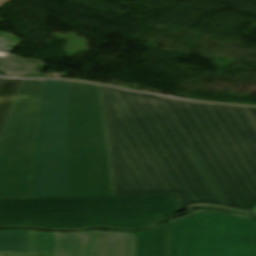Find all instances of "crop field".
<instances>
[{
    "label": "crop field",
    "instance_id": "20",
    "mask_svg": "<svg viewBox=\"0 0 256 256\" xmlns=\"http://www.w3.org/2000/svg\"><path fill=\"white\" fill-rule=\"evenodd\" d=\"M23 78H56V76H46V73H25Z\"/></svg>",
    "mask_w": 256,
    "mask_h": 256
},
{
    "label": "crop field",
    "instance_id": "26",
    "mask_svg": "<svg viewBox=\"0 0 256 256\" xmlns=\"http://www.w3.org/2000/svg\"><path fill=\"white\" fill-rule=\"evenodd\" d=\"M2 21L0 20V23H1Z\"/></svg>",
    "mask_w": 256,
    "mask_h": 256
},
{
    "label": "crop field",
    "instance_id": "25",
    "mask_svg": "<svg viewBox=\"0 0 256 256\" xmlns=\"http://www.w3.org/2000/svg\"><path fill=\"white\" fill-rule=\"evenodd\" d=\"M252 211H255V212H256V207H255Z\"/></svg>",
    "mask_w": 256,
    "mask_h": 256
},
{
    "label": "crop field",
    "instance_id": "13",
    "mask_svg": "<svg viewBox=\"0 0 256 256\" xmlns=\"http://www.w3.org/2000/svg\"><path fill=\"white\" fill-rule=\"evenodd\" d=\"M67 196V155L36 157L30 197Z\"/></svg>",
    "mask_w": 256,
    "mask_h": 256
},
{
    "label": "crop field",
    "instance_id": "1",
    "mask_svg": "<svg viewBox=\"0 0 256 256\" xmlns=\"http://www.w3.org/2000/svg\"><path fill=\"white\" fill-rule=\"evenodd\" d=\"M114 195L102 91L68 81V196Z\"/></svg>",
    "mask_w": 256,
    "mask_h": 256
},
{
    "label": "crop field",
    "instance_id": "8",
    "mask_svg": "<svg viewBox=\"0 0 256 256\" xmlns=\"http://www.w3.org/2000/svg\"><path fill=\"white\" fill-rule=\"evenodd\" d=\"M134 233H50L28 231L29 253L0 256H135Z\"/></svg>",
    "mask_w": 256,
    "mask_h": 256
},
{
    "label": "crop field",
    "instance_id": "21",
    "mask_svg": "<svg viewBox=\"0 0 256 256\" xmlns=\"http://www.w3.org/2000/svg\"><path fill=\"white\" fill-rule=\"evenodd\" d=\"M23 73H8L5 77H10V78H21Z\"/></svg>",
    "mask_w": 256,
    "mask_h": 256
},
{
    "label": "crop field",
    "instance_id": "10",
    "mask_svg": "<svg viewBox=\"0 0 256 256\" xmlns=\"http://www.w3.org/2000/svg\"><path fill=\"white\" fill-rule=\"evenodd\" d=\"M106 122L110 151L186 147L168 115Z\"/></svg>",
    "mask_w": 256,
    "mask_h": 256
},
{
    "label": "crop field",
    "instance_id": "15",
    "mask_svg": "<svg viewBox=\"0 0 256 256\" xmlns=\"http://www.w3.org/2000/svg\"><path fill=\"white\" fill-rule=\"evenodd\" d=\"M44 66L41 61L24 60L11 53L4 59L0 58V72H40Z\"/></svg>",
    "mask_w": 256,
    "mask_h": 256
},
{
    "label": "crop field",
    "instance_id": "12",
    "mask_svg": "<svg viewBox=\"0 0 256 256\" xmlns=\"http://www.w3.org/2000/svg\"><path fill=\"white\" fill-rule=\"evenodd\" d=\"M101 87L106 120L166 114L158 96Z\"/></svg>",
    "mask_w": 256,
    "mask_h": 256
},
{
    "label": "crop field",
    "instance_id": "16",
    "mask_svg": "<svg viewBox=\"0 0 256 256\" xmlns=\"http://www.w3.org/2000/svg\"><path fill=\"white\" fill-rule=\"evenodd\" d=\"M31 179H0V198L29 197Z\"/></svg>",
    "mask_w": 256,
    "mask_h": 256
},
{
    "label": "crop field",
    "instance_id": "17",
    "mask_svg": "<svg viewBox=\"0 0 256 256\" xmlns=\"http://www.w3.org/2000/svg\"><path fill=\"white\" fill-rule=\"evenodd\" d=\"M21 80L2 79L0 81V130L11 106Z\"/></svg>",
    "mask_w": 256,
    "mask_h": 256
},
{
    "label": "crop field",
    "instance_id": "6",
    "mask_svg": "<svg viewBox=\"0 0 256 256\" xmlns=\"http://www.w3.org/2000/svg\"><path fill=\"white\" fill-rule=\"evenodd\" d=\"M226 207L251 211L256 205V145L191 148Z\"/></svg>",
    "mask_w": 256,
    "mask_h": 256
},
{
    "label": "crop field",
    "instance_id": "5",
    "mask_svg": "<svg viewBox=\"0 0 256 256\" xmlns=\"http://www.w3.org/2000/svg\"><path fill=\"white\" fill-rule=\"evenodd\" d=\"M43 80H22L0 133V177H31Z\"/></svg>",
    "mask_w": 256,
    "mask_h": 256
},
{
    "label": "crop field",
    "instance_id": "24",
    "mask_svg": "<svg viewBox=\"0 0 256 256\" xmlns=\"http://www.w3.org/2000/svg\"><path fill=\"white\" fill-rule=\"evenodd\" d=\"M7 73H0V76L4 77Z\"/></svg>",
    "mask_w": 256,
    "mask_h": 256
},
{
    "label": "crop field",
    "instance_id": "18",
    "mask_svg": "<svg viewBox=\"0 0 256 256\" xmlns=\"http://www.w3.org/2000/svg\"><path fill=\"white\" fill-rule=\"evenodd\" d=\"M0 250L27 251L25 230L0 231Z\"/></svg>",
    "mask_w": 256,
    "mask_h": 256
},
{
    "label": "crop field",
    "instance_id": "9",
    "mask_svg": "<svg viewBox=\"0 0 256 256\" xmlns=\"http://www.w3.org/2000/svg\"><path fill=\"white\" fill-rule=\"evenodd\" d=\"M12 225L47 228L86 226L80 196L0 199V226Z\"/></svg>",
    "mask_w": 256,
    "mask_h": 256
},
{
    "label": "crop field",
    "instance_id": "3",
    "mask_svg": "<svg viewBox=\"0 0 256 256\" xmlns=\"http://www.w3.org/2000/svg\"><path fill=\"white\" fill-rule=\"evenodd\" d=\"M168 223V256H256L255 219L196 210Z\"/></svg>",
    "mask_w": 256,
    "mask_h": 256
},
{
    "label": "crop field",
    "instance_id": "11",
    "mask_svg": "<svg viewBox=\"0 0 256 256\" xmlns=\"http://www.w3.org/2000/svg\"><path fill=\"white\" fill-rule=\"evenodd\" d=\"M67 153V81L44 80L35 156Z\"/></svg>",
    "mask_w": 256,
    "mask_h": 256
},
{
    "label": "crop field",
    "instance_id": "22",
    "mask_svg": "<svg viewBox=\"0 0 256 256\" xmlns=\"http://www.w3.org/2000/svg\"><path fill=\"white\" fill-rule=\"evenodd\" d=\"M248 109H249V111H250V113H251V115H252V117H253V119L256 123V108L248 107Z\"/></svg>",
    "mask_w": 256,
    "mask_h": 256
},
{
    "label": "crop field",
    "instance_id": "4",
    "mask_svg": "<svg viewBox=\"0 0 256 256\" xmlns=\"http://www.w3.org/2000/svg\"><path fill=\"white\" fill-rule=\"evenodd\" d=\"M159 98L187 147L256 144L246 107Z\"/></svg>",
    "mask_w": 256,
    "mask_h": 256
},
{
    "label": "crop field",
    "instance_id": "2",
    "mask_svg": "<svg viewBox=\"0 0 256 256\" xmlns=\"http://www.w3.org/2000/svg\"><path fill=\"white\" fill-rule=\"evenodd\" d=\"M110 154L115 195L175 193L183 207L224 206L187 148Z\"/></svg>",
    "mask_w": 256,
    "mask_h": 256
},
{
    "label": "crop field",
    "instance_id": "19",
    "mask_svg": "<svg viewBox=\"0 0 256 256\" xmlns=\"http://www.w3.org/2000/svg\"><path fill=\"white\" fill-rule=\"evenodd\" d=\"M14 42V44H12ZM20 41L8 33L0 34V50L10 52Z\"/></svg>",
    "mask_w": 256,
    "mask_h": 256
},
{
    "label": "crop field",
    "instance_id": "23",
    "mask_svg": "<svg viewBox=\"0 0 256 256\" xmlns=\"http://www.w3.org/2000/svg\"><path fill=\"white\" fill-rule=\"evenodd\" d=\"M7 1H9V0H0V6H1L2 4L6 3Z\"/></svg>",
    "mask_w": 256,
    "mask_h": 256
},
{
    "label": "crop field",
    "instance_id": "27",
    "mask_svg": "<svg viewBox=\"0 0 256 256\" xmlns=\"http://www.w3.org/2000/svg\"><path fill=\"white\" fill-rule=\"evenodd\" d=\"M0 80H1V78H0Z\"/></svg>",
    "mask_w": 256,
    "mask_h": 256
},
{
    "label": "crop field",
    "instance_id": "14",
    "mask_svg": "<svg viewBox=\"0 0 256 256\" xmlns=\"http://www.w3.org/2000/svg\"><path fill=\"white\" fill-rule=\"evenodd\" d=\"M167 224L137 233L136 256H165Z\"/></svg>",
    "mask_w": 256,
    "mask_h": 256
},
{
    "label": "crop field",
    "instance_id": "7",
    "mask_svg": "<svg viewBox=\"0 0 256 256\" xmlns=\"http://www.w3.org/2000/svg\"><path fill=\"white\" fill-rule=\"evenodd\" d=\"M86 224L137 228L183 211L175 194L81 197Z\"/></svg>",
    "mask_w": 256,
    "mask_h": 256
}]
</instances>
